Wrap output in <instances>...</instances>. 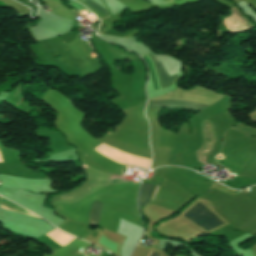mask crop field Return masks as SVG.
<instances>
[{"instance_id":"obj_1","label":"crop field","mask_w":256,"mask_h":256,"mask_svg":"<svg viewBox=\"0 0 256 256\" xmlns=\"http://www.w3.org/2000/svg\"><path fill=\"white\" fill-rule=\"evenodd\" d=\"M201 231L214 226L220 222L215 214L207 209L199 201L184 213Z\"/></svg>"},{"instance_id":"obj_2","label":"crop field","mask_w":256,"mask_h":256,"mask_svg":"<svg viewBox=\"0 0 256 256\" xmlns=\"http://www.w3.org/2000/svg\"><path fill=\"white\" fill-rule=\"evenodd\" d=\"M212 103L214 102L150 99L147 106L158 107V108L178 107L181 109L201 111Z\"/></svg>"},{"instance_id":"obj_3","label":"crop field","mask_w":256,"mask_h":256,"mask_svg":"<svg viewBox=\"0 0 256 256\" xmlns=\"http://www.w3.org/2000/svg\"><path fill=\"white\" fill-rule=\"evenodd\" d=\"M157 189L158 187L156 186V191ZM154 195L155 186L144 182L139 196L140 206L145 207L147 204H149Z\"/></svg>"},{"instance_id":"obj_4","label":"crop field","mask_w":256,"mask_h":256,"mask_svg":"<svg viewBox=\"0 0 256 256\" xmlns=\"http://www.w3.org/2000/svg\"><path fill=\"white\" fill-rule=\"evenodd\" d=\"M149 54L151 55V53H149ZM152 58L154 59L153 56H152ZM154 61L156 63V67H157V71H158V75H159V79H160L162 89L173 85L178 76L176 74H174V75L169 77L168 74L165 72L162 64L160 62L156 61L155 59H154Z\"/></svg>"},{"instance_id":"obj_5","label":"crop field","mask_w":256,"mask_h":256,"mask_svg":"<svg viewBox=\"0 0 256 256\" xmlns=\"http://www.w3.org/2000/svg\"><path fill=\"white\" fill-rule=\"evenodd\" d=\"M102 207H103V204H101V203H96V202L92 203V207H91L89 217H88V223H97L98 224L99 217L102 212Z\"/></svg>"},{"instance_id":"obj_6","label":"crop field","mask_w":256,"mask_h":256,"mask_svg":"<svg viewBox=\"0 0 256 256\" xmlns=\"http://www.w3.org/2000/svg\"><path fill=\"white\" fill-rule=\"evenodd\" d=\"M0 205H2V206H4V207H7V208H10V209H12V210L18 211V212H20V213H23V212H21V211H19V210H17V209H14V208H12V207H10V206H8V205L2 203V202H0ZM4 207H1V206H0V208L7 209V208H4ZM8 210H9V209H8ZM12 210H11V211H12ZM15 211H14V212H15ZM23 214H25V213H23Z\"/></svg>"},{"instance_id":"obj_7","label":"crop field","mask_w":256,"mask_h":256,"mask_svg":"<svg viewBox=\"0 0 256 256\" xmlns=\"http://www.w3.org/2000/svg\"><path fill=\"white\" fill-rule=\"evenodd\" d=\"M150 256H159V254H156L154 252H151Z\"/></svg>"},{"instance_id":"obj_8","label":"crop field","mask_w":256,"mask_h":256,"mask_svg":"<svg viewBox=\"0 0 256 256\" xmlns=\"http://www.w3.org/2000/svg\"><path fill=\"white\" fill-rule=\"evenodd\" d=\"M163 1H165L166 3H168V2H170V1H172V0H163Z\"/></svg>"}]
</instances>
